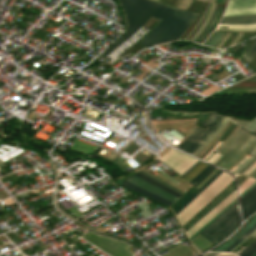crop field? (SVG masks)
Instances as JSON below:
<instances>
[{
    "label": "crop field",
    "instance_id": "crop-field-53",
    "mask_svg": "<svg viewBox=\"0 0 256 256\" xmlns=\"http://www.w3.org/2000/svg\"><path fill=\"white\" fill-rule=\"evenodd\" d=\"M255 147H256V144H255V146H254L248 153H251Z\"/></svg>",
    "mask_w": 256,
    "mask_h": 256
},
{
    "label": "crop field",
    "instance_id": "crop-field-5",
    "mask_svg": "<svg viewBox=\"0 0 256 256\" xmlns=\"http://www.w3.org/2000/svg\"><path fill=\"white\" fill-rule=\"evenodd\" d=\"M87 233V232H86ZM111 256H132L134 252L127 250L130 246L113 239L88 232L81 236Z\"/></svg>",
    "mask_w": 256,
    "mask_h": 256
},
{
    "label": "crop field",
    "instance_id": "crop-field-33",
    "mask_svg": "<svg viewBox=\"0 0 256 256\" xmlns=\"http://www.w3.org/2000/svg\"><path fill=\"white\" fill-rule=\"evenodd\" d=\"M250 236L253 237V238H256V229H255L252 233H250L240 244H242V243H243L246 239H248ZM240 244H239V245H240ZM239 245H237L234 249H236ZM234 249H233V250H234ZM233 250H232V251H233ZM232 251H231V252H232Z\"/></svg>",
    "mask_w": 256,
    "mask_h": 256
},
{
    "label": "crop field",
    "instance_id": "crop-field-22",
    "mask_svg": "<svg viewBox=\"0 0 256 256\" xmlns=\"http://www.w3.org/2000/svg\"><path fill=\"white\" fill-rule=\"evenodd\" d=\"M229 120L226 118V120L223 122V124L217 129V131L204 143L201 145V147L196 150L192 155L196 156L221 130L222 128L226 125V123Z\"/></svg>",
    "mask_w": 256,
    "mask_h": 256
},
{
    "label": "crop field",
    "instance_id": "crop-field-1",
    "mask_svg": "<svg viewBox=\"0 0 256 256\" xmlns=\"http://www.w3.org/2000/svg\"><path fill=\"white\" fill-rule=\"evenodd\" d=\"M126 16L127 32L99 57L102 59L135 33L151 15L161 22L140 43L151 46L178 39L197 16L196 13L171 8L149 0H119Z\"/></svg>",
    "mask_w": 256,
    "mask_h": 256
},
{
    "label": "crop field",
    "instance_id": "crop-field-40",
    "mask_svg": "<svg viewBox=\"0 0 256 256\" xmlns=\"http://www.w3.org/2000/svg\"><path fill=\"white\" fill-rule=\"evenodd\" d=\"M219 9H220V8H218V10H217V13H216V16H215V18H214L213 23L215 22V20H216V18H217V14H218ZM213 23L210 25V27L213 25ZM210 27L207 29V31L210 29ZM207 31L204 33V35L207 33ZM204 35H203V36H204ZM203 36L200 38V40L203 38ZM200 40L198 41V43L200 42Z\"/></svg>",
    "mask_w": 256,
    "mask_h": 256
},
{
    "label": "crop field",
    "instance_id": "crop-field-17",
    "mask_svg": "<svg viewBox=\"0 0 256 256\" xmlns=\"http://www.w3.org/2000/svg\"><path fill=\"white\" fill-rule=\"evenodd\" d=\"M222 171H218L208 182H206L193 196H191L181 207H179L175 214L181 211L189 202H191L202 190H204L216 177H218Z\"/></svg>",
    "mask_w": 256,
    "mask_h": 256
},
{
    "label": "crop field",
    "instance_id": "crop-field-18",
    "mask_svg": "<svg viewBox=\"0 0 256 256\" xmlns=\"http://www.w3.org/2000/svg\"><path fill=\"white\" fill-rule=\"evenodd\" d=\"M207 166V164L202 163V161H200L197 166L191 171L189 172L186 176H184L183 178H185L187 181H191L198 173H200L205 167Z\"/></svg>",
    "mask_w": 256,
    "mask_h": 256
},
{
    "label": "crop field",
    "instance_id": "crop-field-45",
    "mask_svg": "<svg viewBox=\"0 0 256 256\" xmlns=\"http://www.w3.org/2000/svg\"><path fill=\"white\" fill-rule=\"evenodd\" d=\"M229 36V33H227V35H226V37L223 39V41L217 46V48H219L222 44H223V42L227 39V37Z\"/></svg>",
    "mask_w": 256,
    "mask_h": 256
},
{
    "label": "crop field",
    "instance_id": "crop-field-25",
    "mask_svg": "<svg viewBox=\"0 0 256 256\" xmlns=\"http://www.w3.org/2000/svg\"><path fill=\"white\" fill-rule=\"evenodd\" d=\"M256 143V140L255 142L244 152V153H247L253 146L254 144ZM242 154L238 159H236L226 170H230L234 165H236L243 157L246 156V154Z\"/></svg>",
    "mask_w": 256,
    "mask_h": 256
},
{
    "label": "crop field",
    "instance_id": "crop-field-8",
    "mask_svg": "<svg viewBox=\"0 0 256 256\" xmlns=\"http://www.w3.org/2000/svg\"><path fill=\"white\" fill-rule=\"evenodd\" d=\"M256 14V0H231L223 16Z\"/></svg>",
    "mask_w": 256,
    "mask_h": 256
},
{
    "label": "crop field",
    "instance_id": "crop-field-26",
    "mask_svg": "<svg viewBox=\"0 0 256 256\" xmlns=\"http://www.w3.org/2000/svg\"><path fill=\"white\" fill-rule=\"evenodd\" d=\"M254 181H255V179L249 178L245 183H243V184L239 187L240 194H241L246 188H248Z\"/></svg>",
    "mask_w": 256,
    "mask_h": 256
},
{
    "label": "crop field",
    "instance_id": "crop-field-62",
    "mask_svg": "<svg viewBox=\"0 0 256 256\" xmlns=\"http://www.w3.org/2000/svg\"><path fill=\"white\" fill-rule=\"evenodd\" d=\"M241 166H242V165H241ZM241 166H240V167H241ZM240 167H239V168H240ZM235 171H236V170H235ZM235 171H234V172H235Z\"/></svg>",
    "mask_w": 256,
    "mask_h": 256
},
{
    "label": "crop field",
    "instance_id": "crop-field-23",
    "mask_svg": "<svg viewBox=\"0 0 256 256\" xmlns=\"http://www.w3.org/2000/svg\"><path fill=\"white\" fill-rule=\"evenodd\" d=\"M256 139L255 136H252L251 139L245 144V146L237 153L235 154L232 159L223 166V168H227L238 156H240L242 154V152H244L246 150V148Z\"/></svg>",
    "mask_w": 256,
    "mask_h": 256
},
{
    "label": "crop field",
    "instance_id": "crop-field-10",
    "mask_svg": "<svg viewBox=\"0 0 256 256\" xmlns=\"http://www.w3.org/2000/svg\"><path fill=\"white\" fill-rule=\"evenodd\" d=\"M127 181H129V182H131L135 185H138V186H140V187H142L146 190H149V191H151L155 194H158V195H160V196H162V197H164V198H166V199H168L172 202H174L177 199V197H175V196H173V195H171V194L153 186L152 184L144 181L143 179H141V178H139L135 175L132 176L131 178H129Z\"/></svg>",
    "mask_w": 256,
    "mask_h": 256
},
{
    "label": "crop field",
    "instance_id": "crop-field-27",
    "mask_svg": "<svg viewBox=\"0 0 256 256\" xmlns=\"http://www.w3.org/2000/svg\"><path fill=\"white\" fill-rule=\"evenodd\" d=\"M256 228V225L252 227L246 234H244L238 241H236L229 249L226 251H230L233 247H235L242 239H244L250 232H252Z\"/></svg>",
    "mask_w": 256,
    "mask_h": 256
},
{
    "label": "crop field",
    "instance_id": "crop-field-56",
    "mask_svg": "<svg viewBox=\"0 0 256 256\" xmlns=\"http://www.w3.org/2000/svg\"><path fill=\"white\" fill-rule=\"evenodd\" d=\"M226 0H224L223 2L225 3ZM228 2V0L226 1V3Z\"/></svg>",
    "mask_w": 256,
    "mask_h": 256
},
{
    "label": "crop field",
    "instance_id": "crop-field-37",
    "mask_svg": "<svg viewBox=\"0 0 256 256\" xmlns=\"http://www.w3.org/2000/svg\"><path fill=\"white\" fill-rule=\"evenodd\" d=\"M218 34H219V33H216L215 37L207 44V46H209V45L212 43V41L218 36ZM221 35H222V33L219 34V36L213 41V43L210 45V47H212V45H213L216 41H218V39L220 38Z\"/></svg>",
    "mask_w": 256,
    "mask_h": 256
},
{
    "label": "crop field",
    "instance_id": "crop-field-19",
    "mask_svg": "<svg viewBox=\"0 0 256 256\" xmlns=\"http://www.w3.org/2000/svg\"><path fill=\"white\" fill-rule=\"evenodd\" d=\"M214 167L208 165L200 174H198L190 183L193 185H197L202 179H204L212 170Z\"/></svg>",
    "mask_w": 256,
    "mask_h": 256
},
{
    "label": "crop field",
    "instance_id": "crop-field-14",
    "mask_svg": "<svg viewBox=\"0 0 256 256\" xmlns=\"http://www.w3.org/2000/svg\"><path fill=\"white\" fill-rule=\"evenodd\" d=\"M121 185L126 186V187H128V188H130L132 190H135V191H137V192H139L141 194H144V195H146V196H148L150 198H153L156 201H158V202H160V203H162V204H164V205H166L168 207L172 204V202H170V201H168V200H166V199H164L162 197H159V196H157V195H155L153 193H150V192H148L146 190H143V189H141V188H139V187H137V186L127 182V181L123 182Z\"/></svg>",
    "mask_w": 256,
    "mask_h": 256
},
{
    "label": "crop field",
    "instance_id": "crop-field-12",
    "mask_svg": "<svg viewBox=\"0 0 256 256\" xmlns=\"http://www.w3.org/2000/svg\"><path fill=\"white\" fill-rule=\"evenodd\" d=\"M233 189H234V186H233V183H232V184H231L228 188H226L218 197H216L208 206H206L198 215H196L188 224H186V225L183 227V229L185 230L187 227H189L193 222H195L199 217H201L206 211H208L212 206H214L219 200H221L225 195H227V194H228L231 190H233ZM233 191H234V190H233ZM233 191H231L229 194H231ZM229 194H228V195H229ZM228 195H227V196H228ZM227 196H225L221 201H223ZM221 201H219L214 207H216ZM214 207H212L210 210H212ZM210 210H209V211H210ZM209 211H208V212H209ZM208 212H206L205 214H207ZM205 214H204V215H205ZM204 215H203V216H204ZM203 216H202V217H203ZM202 217H201V218H202ZM199 219H200V218H199ZM199 219H198V220H199ZM198 220H197V221H198ZM197 221H196V222H197ZM196 222H195V223H196ZM193 224H194V223H193ZM193 224H192V225H193ZM192 225H191V226H192ZM191 226H190V227H191ZM190 227H189V228H190ZM186 230H187V229H186ZM186 230H185V231H186Z\"/></svg>",
    "mask_w": 256,
    "mask_h": 256
},
{
    "label": "crop field",
    "instance_id": "crop-field-57",
    "mask_svg": "<svg viewBox=\"0 0 256 256\" xmlns=\"http://www.w3.org/2000/svg\"><path fill=\"white\" fill-rule=\"evenodd\" d=\"M255 159H256V158H255ZM254 161H255V160H254ZM249 165H250V164H249ZM249 165H248V166H249ZM248 166H247V167H248ZM247 167H246V168H247ZM246 168H245V169H246ZM241 172H242V171H241Z\"/></svg>",
    "mask_w": 256,
    "mask_h": 256
},
{
    "label": "crop field",
    "instance_id": "crop-field-7",
    "mask_svg": "<svg viewBox=\"0 0 256 256\" xmlns=\"http://www.w3.org/2000/svg\"><path fill=\"white\" fill-rule=\"evenodd\" d=\"M241 129H237V131L232 135V137L222 146V148L217 152L221 155H223L229 148L230 146L238 139V137L243 133ZM247 135V133H243L239 139L231 146V148L220 158L224 159L239 143L240 141ZM252 135V134H251ZM251 135H247L241 143L224 159L222 163L219 164V166H223L235 153H237L242 146L247 142V140L251 137Z\"/></svg>",
    "mask_w": 256,
    "mask_h": 256
},
{
    "label": "crop field",
    "instance_id": "crop-field-63",
    "mask_svg": "<svg viewBox=\"0 0 256 256\" xmlns=\"http://www.w3.org/2000/svg\"><path fill=\"white\" fill-rule=\"evenodd\" d=\"M255 132H256V130H255Z\"/></svg>",
    "mask_w": 256,
    "mask_h": 256
},
{
    "label": "crop field",
    "instance_id": "crop-field-55",
    "mask_svg": "<svg viewBox=\"0 0 256 256\" xmlns=\"http://www.w3.org/2000/svg\"><path fill=\"white\" fill-rule=\"evenodd\" d=\"M209 16H210V15H209ZM208 18H209V17H208ZM208 18H207V20H208ZM207 20H206V22H207ZM206 22H205V23H206ZM205 23H204V24H205ZM203 26H204V25H203ZM203 26H202V28H203ZM202 28H201V29H202ZM201 29H200V30H201ZM200 30H199V31H200ZM198 33H199V32H198ZM191 41H192V40H191Z\"/></svg>",
    "mask_w": 256,
    "mask_h": 256
},
{
    "label": "crop field",
    "instance_id": "crop-field-6",
    "mask_svg": "<svg viewBox=\"0 0 256 256\" xmlns=\"http://www.w3.org/2000/svg\"><path fill=\"white\" fill-rule=\"evenodd\" d=\"M160 160L177 172L180 176L186 172L197 160L171 148Z\"/></svg>",
    "mask_w": 256,
    "mask_h": 256
},
{
    "label": "crop field",
    "instance_id": "crop-field-47",
    "mask_svg": "<svg viewBox=\"0 0 256 256\" xmlns=\"http://www.w3.org/2000/svg\"><path fill=\"white\" fill-rule=\"evenodd\" d=\"M217 143H218V141L214 144V146H215ZM214 146H213V147H214ZM213 147H212V148H213ZM212 148H211V149H212ZM211 149H210V150H211ZM210 150H209L207 153H205L201 158L203 159V158L210 152Z\"/></svg>",
    "mask_w": 256,
    "mask_h": 256
},
{
    "label": "crop field",
    "instance_id": "crop-field-46",
    "mask_svg": "<svg viewBox=\"0 0 256 256\" xmlns=\"http://www.w3.org/2000/svg\"><path fill=\"white\" fill-rule=\"evenodd\" d=\"M198 162H199V161H198ZM198 162H197V163H198ZM197 163H196V164H197ZM196 164L193 165L186 173H184V174L182 175V177H183L184 175H186L189 171H191V170L196 166Z\"/></svg>",
    "mask_w": 256,
    "mask_h": 256
},
{
    "label": "crop field",
    "instance_id": "crop-field-44",
    "mask_svg": "<svg viewBox=\"0 0 256 256\" xmlns=\"http://www.w3.org/2000/svg\"><path fill=\"white\" fill-rule=\"evenodd\" d=\"M225 35H226V33H223L220 40L213 47H216L222 41V39L225 37Z\"/></svg>",
    "mask_w": 256,
    "mask_h": 256
},
{
    "label": "crop field",
    "instance_id": "crop-field-59",
    "mask_svg": "<svg viewBox=\"0 0 256 256\" xmlns=\"http://www.w3.org/2000/svg\"><path fill=\"white\" fill-rule=\"evenodd\" d=\"M256 173H254L253 175H252V177L255 175Z\"/></svg>",
    "mask_w": 256,
    "mask_h": 256
},
{
    "label": "crop field",
    "instance_id": "crop-field-43",
    "mask_svg": "<svg viewBox=\"0 0 256 256\" xmlns=\"http://www.w3.org/2000/svg\"><path fill=\"white\" fill-rule=\"evenodd\" d=\"M215 35V32L211 34V36L205 41L204 45H206Z\"/></svg>",
    "mask_w": 256,
    "mask_h": 256
},
{
    "label": "crop field",
    "instance_id": "crop-field-4",
    "mask_svg": "<svg viewBox=\"0 0 256 256\" xmlns=\"http://www.w3.org/2000/svg\"><path fill=\"white\" fill-rule=\"evenodd\" d=\"M225 117L211 113L208 118L201 124L208 126L205 129L197 127L194 132L178 147L188 153H192L204 142L221 124Z\"/></svg>",
    "mask_w": 256,
    "mask_h": 256
},
{
    "label": "crop field",
    "instance_id": "crop-field-29",
    "mask_svg": "<svg viewBox=\"0 0 256 256\" xmlns=\"http://www.w3.org/2000/svg\"><path fill=\"white\" fill-rule=\"evenodd\" d=\"M198 189H194L188 196H186L178 205H176L174 208H172L174 211L182 205L192 194H194Z\"/></svg>",
    "mask_w": 256,
    "mask_h": 256
},
{
    "label": "crop field",
    "instance_id": "crop-field-21",
    "mask_svg": "<svg viewBox=\"0 0 256 256\" xmlns=\"http://www.w3.org/2000/svg\"><path fill=\"white\" fill-rule=\"evenodd\" d=\"M256 252V240L249 244L238 256H252Z\"/></svg>",
    "mask_w": 256,
    "mask_h": 256
},
{
    "label": "crop field",
    "instance_id": "crop-field-30",
    "mask_svg": "<svg viewBox=\"0 0 256 256\" xmlns=\"http://www.w3.org/2000/svg\"><path fill=\"white\" fill-rule=\"evenodd\" d=\"M190 2H191V0H182V1L179 3L178 7H182V8L187 9V7H188V5L190 4Z\"/></svg>",
    "mask_w": 256,
    "mask_h": 256
},
{
    "label": "crop field",
    "instance_id": "crop-field-20",
    "mask_svg": "<svg viewBox=\"0 0 256 256\" xmlns=\"http://www.w3.org/2000/svg\"><path fill=\"white\" fill-rule=\"evenodd\" d=\"M135 175H137V176L143 178L144 180H146V181H148V182H150V183H152V184H154V185H156V186H158V187H160V188H162V189H164V190H166V191H168V192H170V193H172V194H174V195H176V196H178V197L181 196V195L175 193L174 191L168 189L167 187L161 185L160 183H158V182L152 180L151 178L145 176L144 174H142V173H140V172L137 173V174H135Z\"/></svg>",
    "mask_w": 256,
    "mask_h": 256
},
{
    "label": "crop field",
    "instance_id": "crop-field-31",
    "mask_svg": "<svg viewBox=\"0 0 256 256\" xmlns=\"http://www.w3.org/2000/svg\"><path fill=\"white\" fill-rule=\"evenodd\" d=\"M256 167V161L251 164L245 171L242 172V174L247 175L250 171H252Z\"/></svg>",
    "mask_w": 256,
    "mask_h": 256
},
{
    "label": "crop field",
    "instance_id": "crop-field-60",
    "mask_svg": "<svg viewBox=\"0 0 256 256\" xmlns=\"http://www.w3.org/2000/svg\"><path fill=\"white\" fill-rule=\"evenodd\" d=\"M253 256H256V253Z\"/></svg>",
    "mask_w": 256,
    "mask_h": 256
},
{
    "label": "crop field",
    "instance_id": "crop-field-49",
    "mask_svg": "<svg viewBox=\"0 0 256 256\" xmlns=\"http://www.w3.org/2000/svg\"><path fill=\"white\" fill-rule=\"evenodd\" d=\"M254 172H256V168L252 172H250L248 175L251 176Z\"/></svg>",
    "mask_w": 256,
    "mask_h": 256
},
{
    "label": "crop field",
    "instance_id": "crop-field-50",
    "mask_svg": "<svg viewBox=\"0 0 256 256\" xmlns=\"http://www.w3.org/2000/svg\"><path fill=\"white\" fill-rule=\"evenodd\" d=\"M215 5H216V4H215ZM215 5H214V8H215ZM214 8H213V10H214ZM212 12H213V11H212ZM204 27H205V26H204ZM202 30H203V29H202ZM202 30H201V31H202ZM200 33H201V32H200ZM200 33L195 37V39L200 35ZM195 39H194V40H195ZM194 40H193V41H194Z\"/></svg>",
    "mask_w": 256,
    "mask_h": 256
},
{
    "label": "crop field",
    "instance_id": "crop-field-24",
    "mask_svg": "<svg viewBox=\"0 0 256 256\" xmlns=\"http://www.w3.org/2000/svg\"><path fill=\"white\" fill-rule=\"evenodd\" d=\"M256 55V42L253 44L249 52L245 56L246 62L249 64L253 57Z\"/></svg>",
    "mask_w": 256,
    "mask_h": 256
},
{
    "label": "crop field",
    "instance_id": "crop-field-36",
    "mask_svg": "<svg viewBox=\"0 0 256 256\" xmlns=\"http://www.w3.org/2000/svg\"><path fill=\"white\" fill-rule=\"evenodd\" d=\"M221 155H219V154H215L213 157H211L209 160H208V162H210V163H215L217 160H218V158L220 157Z\"/></svg>",
    "mask_w": 256,
    "mask_h": 256
},
{
    "label": "crop field",
    "instance_id": "crop-field-9",
    "mask_svg": "<svg viewBox=\"0 0 256 256\" xmlns=\"http://www.w3.org/2000/svg\"><path fill=\"white\" fill-rule=\"evenodd\" d=\"M237 197L236 191L233 192L229 197H227L223 202H221L216 208H214L211 212L205 215L200 221H198L194 226H192L189 230L186 231L188 237L193 235L203 224L209 221L213 216H215L221 209H223L226 205L231 203Z\"/></svg>",
    "mask_w": 256,
    "mask_h": 256
},
{
    "label": "crop field",
    "instance_id": "crop-field-38",
    "mask_svg": "<svg viewBox=\"0 0 256 256\" xmlns=\"http://www.w3.org/2000/svg\"><path fill=\"white\" fill-rule=\"evenodd\" d=\"M250 156L247 155L245 158H243L235 167H233L230 171L233 172L237 167H239L246 159H248Z\"/></svg>",
    "mask_w": 256,
    "mask_h": 256
},
{
    "label": "crop field",
    "instance_id": "crop-field-28",
    "mask_svg": "<svg viewBox=\"0 0 256 256\" xmlns=\"http://www.w3.org/2000/svg\"><path fill=\"white\" fill-rule=\"evenodd\" d=\"M218 254H219V253L208 252V253H206V254H204V255H202V256H216V255H218ZM218 256H235V255L230 254V253H221V254H219Z\"/></svg>",
    "mask_w": 256,
    "mask_h": 256
},
{
    "label": "crop field",
    "instance_id": "crop-field-48",
    "mask_svg": "<svg viewBox=\"0 0 256 256\" xmlns=\"http://www.w3.org/2000/svg\"><path fill=\"white\" fill-rule=\"evenodd\" d=\"M212 4H213V3H212ZM212 4H211V8H212ZM211 8H210V10H211ZM207 17H208V16H207ZM207 17H206V18H207ZM206 18H205V19H206ZM204 21H205V20H204ZM204 21H203V23H204ZM203 23L201 24V26L203 25ZM201 26H200V27H201ZM200 27H199V29H200ZM199 29H198V30H199ZM198 30L196 31V33L198 32ZM196 33H195V34H196ZM195 34H194V35H195ZM194 35H193V36H194ZM193 36H192V37H193ZM191 39H192V38H191ZM191 39H190V40H191Z\"/></svg>",
    "mask_w": 256,
    "mask_h": 256
},
{
    "label": "crop field",
    "instance_id": "crop-field-54",
    "mask_svg": "<svg viewBox=\"0 0 256 256\" xmlns=\"http://www.w3.org/2000/svg\"><path fill=\"white\" fill-rule=\"evenodd\" d=\"M180 1H181V0H178V1L175 3V6H177Z\"/></svg>",
    "mask_w": 256,
    "mask_h": 256
},
{
    "label": "crop field",
    "instance_id": "crop-field-51",
    "mask_svg": "<svg viewBox=\"0 0 256 256\" xmlns=\"http://www.w3.org/2000/svg\"><path fill=\"white\" fill-rule=\"evenodd\" d=\"M234 132H235V131H234ZM234 132H233V133H234ZM233 133H232V134H233ZM230 135H231V134H230ZM230 135H229V136H230ZM229 136H228V137H229ZM228 137H227V138H228ZM227 138H226V139H227ZM229 138H230V137H229ZM229 138H228V139H229ZM228 139H227V140H228ZM227 140H226V141H227ZM224 142H225V141H224ZM224 142H223V143H224ZM223 143H222V144H223ZM222 144H221V145H222ZM221 145H220V146H221ZM219 149H220V148H218V150H219Z\"/></svg>",
    "mask_w": 256,
    "mask_h": 256
},
{
    "label": "crop field",
    "instance_id": "crop-field-16",
    "mask_svg": "<svg viewBox=\"0 0 256 256\" xmlns=\"http://www.w3.org/2000/svg\"><path fill=\"white\" fill-rule=\"evenodd\" d=\"M218 26H229V28H217L216 30H223V31H256V24H252V25H218Z\"/></svg>",
    "mask_w": 256,
    "mask_h": 256
},
{
    "label": "crop field",
    "instance_id": "crop-field-35",
    "mask_svg": "<svg viewBox=\"0 0 256 256\" xmlns=\"http://www.w3.org/2000/svg\"><path fill=\"white\" fill-rule=\"evenodd\" d=\"M233 121L244 128H246V126L249 124V122H247V121H239V120H233Z\"/></svg>",
    "mask_w": 256,
    "mask_h": 256
},
{
    "label": "crop field",
    "instance_id": "crop-field-11",
    "mask_svg": "<svg viewBox=\"0 0 256 256\" xmlns=\"http://www.w3.org/2000/svg\"><path fill=\"white\" fill-rule=\"evenodd\" d=\"M241 203L244 220L249 214L256 211V186L241 198Z\"/></svg>",
    "mask_w": 256,
    "mask_h": 256
},
{
    "label": "crop field",
    "instance_id": "crop-field-52",
    "mask_svg": "<svg viewBox=\"0 0 256 256\" xmlns=\"http://www.w3.org/2000/svg\"><path fill=\"white\" fill-rule=\"evenodd\" d=\"M202 1L215 2V0H202Z\"/></svg>",
    "mask_w": 256,
    "mask_h": 256
},
{
    "label": "crop field",
    "instance_id": "crop-field-39",
    "mask_svg": "<svg viewBox=\"0 0 256 256\" xmlns=\"http://www.w3.org/2000/svg\"><path fill=\"white\" fill-rule=\"evenodd\" d=\"M210 4V3H209ZM209 4H208V6H209ZM208 6H207V8H206V10L204 11V13H203V15H202V17H201V19L198 21V23L195 25V27L193 28V30L188 34V36L194 31V29L199 25V23H200V21L202 20V18L204 17V15H205V13H206V11H207V9H208ZM187 36V37H188ZM186 37V38H187ZM185 38V39H186Z\"/></svg>",
    "mask_w": 256,
    "mask_h": 256
},
{
    "label": "crop field",
    "instance_id": "crop-field-3",
    "mask_svg": "<svg viewBox=\"0 0 256 256\" xmlns=\"http://www.w3.org/2000/svg\"><path fill=\"white\" fill-rule=\"evenodd\" d=\"M240 223L237 201L199 234L212 243L227 237Z\"/></svg>",
    "mask_w": 256,
    "mask_h": 256
},
{
    "label": "crop field",
    "instance_id": "crop-field-15",
    "mask_svg": "<svg viewBox=\"0 0 256 256\" xmlns=\"http://www.w3.org/2000/svg\"><path fill=\"white\" fill-rule=\"evenodd\" d=\"M256 22V15L254 16H240V17H223L220 24L225 23H252Z\"/></svg>",
    "mask_w": 256,
    "mask_h": 256
},
{
    "label": "crop field",
    "instance_id": "crop-field-61",
    "mask_svg": "<svg viewBox=\"0 0 256 256\" xmlns=\"http://www.w3.org/2000/svg\"><path fill=\"white\" fill-rule=\"evenodd\" d=\"M254 155H256V152L254 153Z\"/></svg>",
    "mask_w": 256,
    "mask_h": 256
},
{
    "label": "crop field",
    "instance_id": "crop-field-58",
    "mask_svg": "<svg viewBox=\"0 0 256 256\" xmlns=\"http://www.w3.org/2000/svg\"><path fill=\"white\" fill-rule=\"evenodd\" d=\"M214 153H215V152H214ZM214 153H213V154H214ZM213 154H212V155H213ZM212 155H211V156H212ZM211 156H210V157H211ZM210 157H209V158H210ZM209 158H208V159H209ZM208 159H207V160H208Z\"/></svg>",
    "mask_w": 256,
    "mask_h": 256
},
{
    "label": "crop field",
    "instance_id": "crop-field-41",
    "mask_svg": "<svg viewBox=\"0 0 256 256\" xmlns=\"http://www.w3.org/2000/svg\"><path fill=\"white\" fill-rule=\"evenodd\" d=\"M242 36V34H238V36L235 38V40L231 43L230 46L234 45L237 43V41L239 40V38Z\"/></svg>",
    "mask_w": 256,
    "mask_h": 256
},
{
    "label": "crop field",
    "instance_id": "crop-field-2",
    "mask_svg": "<svg viewBox=\"0 0 256 256\" xmlns=\"http://www.w3.org/2000/svg\"><path fill=\"white\" fill-rule=\"evenodd\" d=\"M233 178L223 172L215 179L203 192H201L189 205L176 214L181 225L191 219L200 209H202L211 199L221 192Z\"/></svg>",
    "mask_w": 256,
    "mask_h": 256
},
{
    "label": "crop field",
    "instance_id": "crop-field-13",
    "mask_svg": "<svg viewBox=\"0 0 256 256\" xmlns=\"http://www.w3.org/2000/svg\"><path fill=\"white\" fill-rule=\"evenodd\" d=\"M255 224H256V215L231 240L221 245L214 251H225L228 247H230L236 240H238L244 233H246Z\"/></svg>",
    "mask_w": 256,
    "mask_h": 256
},
{
    "label": "crop field",
    "instance_id": "crop-field-42",
    "mask_svg": "<svg viewBox=\"0 0 256 256\" xmlns=\"http://www.w3.org/2000/svg\"><path fill=\"white\" fill-rule=\"evenodd\" d=\"M254 159V157H252L249 161H247L240 169H238L236 171V173H238L243 167H245L250 161H252Z\"/></svg>",
    "mask_w": 256,
    "mask_h": 256
},
{
    "label": "crop field",
    "instance_id": "crop-field-34",
    "mask_svg": "<svg viewBox=\"0 0 256 256\" xmlns=\"http://www.w3.org/2000/svg\"><path fill=\"white\" fill-rule=\"evenodd\" d=\"M256 121V117L250 122V124L247 126V129L250 130V128L253 126V124L255 123ZM256 129V123L254 124V126L251 128V131L254 132V130Z\"/></svg>",
    "mask_w": 256,
    "mask_h": 256
},
{
    "label": "crop field",
    "instance_id": "crop-field-32",
    "mask_svg": "<svg viewBox=\"0 0 256 256\" xmlns=\"http://www.w3.org/2000/svg\"><path fill=\"white\" fill-rule=\"evenodd\" d=\"M140 172H142V173L146 174L147 176L151 177L152 179H154V180H156V181H158V182L162 183L163 185H165V186H167V187H169V188H171V189H173V190H175V191L179 192L178 190H176V189L172 188L171 186H169V185H167V184H165V183H163V182H161V181L157 180L156 178L152 177L151 175L147 174L146 172H144V171H142V170H141ZM179 193H181V192H179ZM181 194H183V193H181Z\"/></svg>",
    "mask_w": 256,
    "mask_h": 256
}]
</instances>
